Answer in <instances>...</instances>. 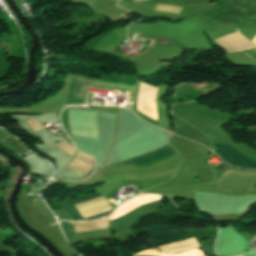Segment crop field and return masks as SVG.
<instances>
[{
  "instance_id": "e52e79f7",
  "label": "crop field",
  "mask_w": 256,
  "mask_h": 256,
  "mask_svg": "<svg viewBox=\"0 0 256 256\" xmlns=\"http://www.w3.org/2000/svg\"><path fill=\"white\" fill-rule=\"evenodd\" d=\"M219 152L225 159H227L233 165L236 164L240 166L256 168L255 161L247 159L229 145H219Z\"/></svg>"
},
{
  "instance_id": "dd49c442",
  "label": "crop field",
  "mask_w": 256,
  "mask_h": 256,
  "mask_svg": "<svg viewBox=\"0 0 256 256\" xmlns=\"http://www.w3.org/2000/svg\"><path fill=\"white\" fill-rule=\"evenodd\" d=\"M82 217L93 215L111 207L103 196L75 205Z\"/></svg>"
},
{
  "instance_id": "8a807250",
  "label": "crop field",
  "mask_w": 256,
  "mask_h": 256,
  "mask_svg": "<svg viewBox=\"0 0 256 256\" xmlns=\"http://www.w3.org/2000/svg\"><path fill=\"white\" fill-rule=\"evenodd\" d=\"M55 145H57L59 148L74 158L70 163L66 165V167L85 176L94 167L95 161L93 158L80 153L64 140Z\"/></svg>"
},
{
  "instance_id": "d8731c3e",
  "label": "crop field",
  "mask_w": 256,
  "mask_h": 256,
  "mask_svg": "<svg viewBox=\"0 0 256 256\" xmlns=\"http://www.w3.org/2000/svg\"><path fill=\"white\" fill-rule=\"evenodd\" d=\"M174 150L169 146H165V147H162L160 149H157L155 151H152L150 153H147V154H144L142 156H139V157H136L134 159H131V160H128V161H125L123 163H128V164H133V165H137V164H141V163H144V162H147V161H151V160H154L156 158H159L161 156H164L168 153H171L173 152Z\"/></svg>"
},
{
  "instance_id": "34b2d1b8",
  "label": "crop field",
  "mask_w": 256,
  "mask_h": 256,
  "mask_svg": "<svg viewBox=\"0 0 256 256\" xmlns=\"http://www.w3.org/2000/svg\"><path fill=\"white\" fill-rule=\"evenodd\" d=\"M228 52L239 51L254 45L238 31L214 39Z\"/></svg>"
},
{
  "instance_id": "d1516ede",
  "label": "crop field",
  "mask_w": 256,
  "mask_h": 256,
  "mask_svg": "<svg viewBox=\"0 0 256 256\" xmlns=\"http://www.w3.org/2000/svg\"><path fill=\"white\" fill-rule=\"evenodd\" d=\"M26 121H27L28 124L33 128V130H34L35 132L40 131V130H43L42 126L37 122V120H36L35 118L27 119ZM26 121H25V122H26ZM27 122H26V123H27ZM32 128H31V129H32Z\"/></svg>"
},
{
  "instance_id": "f4fd0767",
  "label": "crop field",
  "mask_w": 256,
  "mask_h": 256,
  "mask_svg": "<svg viewBox=\"0 0 256 256\" xmlns=\"http://www.w3.org/2000/svg\"><path fill=\"white\" fill-rule=\"evenodd\" d=\"M98 196H101V195H99L97 193H93V194H90L88 196L80 197V198H77V199L61 201V204L65 208V210L68 212V214L72 217L73 220H92V219H97V218H100V217L110 213L113 210L110 209L111 211L107 210L108 212H104V213H101V214H98V215H95V216L83 219L81 217V215L79 214V212L75 209V207L73 205L81 203V202H84V201H87L89 199H92V198H95V197H98Z\"/></svg>"
},
{
  "instance_id": "ac0d7876",
  "label": "crop field",
  "mask_w": 256,
  "mask_h": 256,
  "mask_svg": "<svg viewBox=\"0 0 256 256\" xmlns=\"http://www.w3.org/2000/svg\"><path fill=\"white\" fill-rule=\"evenodd\" d=\"M158 201L138 207L124 214L123 216L111 221L109 228L120 227V226H125L127 224H131L134 221L138 220L139 218L143 217L144 215L155 212Z\"/></svg>"
},
{
  "instance_id": "412701ff",
  "label": "crop field",
  "mask_w": 256,
  "mask_h": 256,
  "mask_svg": "<svg viewBox=\"0 0 256 256\" xmlns=\"http://www.w3.org/2000/svg\"><path fill=\"white\" fill-rule=\"evenodd\" d=\"M85 81L70 79L63 104H86L85 102Z\"/></svg>"
},
{
  "instance_id": "cbeb9de0",
  "label": "crop field",
  "mask_w": 256,
  "mask_h": 256,
  "mask_svg": "<svg viewBox=\"0 0 256 256\" xmlns=\"http://www.w3.org/2000/svg\"><path fill=\"white\" fill-rule=\"evenodd\" d=\"M116 1H118V0H116Z\"/></svg>"
},
{
  "instance_id": "3316defc",
  "label": "crop field",
  "mask_w": 256,
  "mask_h": 256,
  "mask_svg": "<svg viewBox=\"0 0 256 256\" xmlns=\"http://www.w3.org/2000/svg\"><path fill=\"white\" fill-rule=\"evenodd\" d=\"M194 247H198V244L196 243L194 238H191V239L179 241L176 243L160 246L159 248H160L161 252L174 253V252H178V251L191 249Z\"/></svg>"
},
{
  "instance_id": "5a996713",
  "label": "crop field",
  "mask_w": 256,
  "mask_h": 256,
  "mask_svg": "<svg viewBox=\"0 0 256 256\" xmlns=\"http://www.w3.org/2000/svg\"><path fill=\"white\" fill-rule=\"evenodd\" d=\"M108 219L71 224L73 233L106 229Z\"/></svg>"
},
{
  "instance_id": "28ad6ade",
  "label": "crop field",
  "mask_w": 256,
  "mask_h": 256,
  "mask_svg": "<svg viewBox=\"0 0 256 256\" xmlns=\"http://www.w3.org/2000/svg\"><path fill=\"white\" fill-rule=\"evenodd\" d=\"M155 9L176 13V14H179V12L182 10V8L180 7H173V6L160 5V4H157Z\"/></svg>"
},
{
  "instance_id": "22f410ed",
  "label": "crop field",
  "mask_w": 256,
  "mask_h": 256,
  "mask_svg": "<svg viewBox=\"0 0 256 256\" xmlns=\"http://www.w3.org/2000/svg\"><path fill=\"white\" fill-rule=\"evenodd\" d=\"M251 14L256 15V0L251 2Z\"/></svg>"
}]
</instances>
